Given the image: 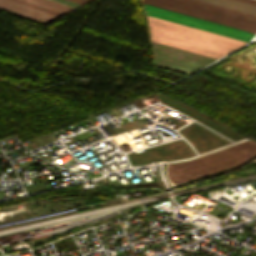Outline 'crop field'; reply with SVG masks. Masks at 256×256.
I'll list each match as a JSON object with an SVG mask.
<instances>
[{
    "label": "crop field",
    "mask_w": 256,
    "mask_h": 256,
    "mask_svg": "<svg viewBox=\"0 0 256 256\" xmlns=\"http://www.w3.org/2000/svg\"><path fill=\"white\" fill-rule=\"evenodd\" d=\"M147 19L151 40L216 58L246 43L151 16Z\"/></svg>",
    "instance_id": "obj_1"
},
{
    "label": "crop field",
    "mask_w": 256,
    "mask_h": 256,
    "mask_svg": "<svg viewBox=\"0 0 256 256\" xmlns=\"http://www.w3.org/2000/svg\"><path fill=\"white\" fill-rule=\"evenodd\" d=\"M254 159L256 143L247 140L191 160L171 163L167 174L171 182L180 183Z\"/></svg>",
    "instance_id": "obj_2"
},
{
    "label": "crop field",
    "mask_w": 256,
    "mask_h": 256,
    "mask_svg": "<svg viewBox=\"0 0 256 256\" xmlns=\"http://www.w3.org/2000/svg\"><path fill=\"white\" fill-rule=\"evenodd\" d=\"M143 3L256 33V15L200 0H141Z\"/></svg>",
    "instance_id": "obj_3"
},
{
    "label": "crop field",
    "mask_w": 256,
    "mask_h": 256,
    "mask_svg": "<svg viewBox=\"0 0 256 256\" xmlns=\"http://www.w3.org/2000/svg\"><path fill=\"white\" fill-rule=\"evenodd\" d=\"M154 65L184 74H191L216 60V58L153 42Z\"/></svg>",
    "instance_id": "obj_4"
},
{
    "label": "crop field",
    "mask_w": 256,
    "mask_h": 256,
    "mask_svg": "<svg viewBox=\"0 0 256 256\" xmlns=\"http://www.w3.org/2000/svg\"><path fill=\"white\" fill-rule=\"evenodd\" d=\"M143 4V3H142ZM144 12L147 15L155 16L158 18L166 19L176 23L184 24L187 26L195 27L198 29L206 30L209 32L217 33L227 37L235 38L238 40L248 42L254 33L246 32L243 30L235 29L232 27L224 26L221 24L213 23L210 21L198 19L195 17L187 16L184 14L176 13L173 11L165 10L162 8L154 7L151 5L143 4Z\"/></svg>",
    "instance_id": "obj_5"
},
{
    "label": "crop field",
    "mask_w": 256,
    "mask_h": 256,
    "mask_svg": "<svg viewBox=\"0 0 256 256\" xmlns=\"http://www.w3.org/2000/svg\"><path fill=\"white\" fill-rule=\"evenodd\" d=\"M0 8L43 23H47L58 17L10 0H0Z\"/></svg>",
    "instance_id": "obj_6"
},
{
    "label": "crop field",
    "mask_w": 256,
    "mask_h": 256,
    "mask_svg": "<svg viewBox=\"0 0 256 256\" xmlns=\"http://www.w3.org/2000/svg\"><path fill=\"white\" fill-rule=\"evenodd\" d=\"M204 1L256 14V6L246 4L243 2H239L235 0H204Z\"/></svg>",
    "instance_id": "obj_7"
},
{
    "label": "crop field",
    "mask_w": 256,
    "mask_h": 256,
    "mask_svg": "<svg viewBox=\"0 0 256 256\" xmlns=\"http://www.w3.org/2000/svg\"><path fill=\"white\" fill-rule=\"evenodd\" d=\"M25 1L34 3L36 5H39V6L63 13V14H65L73 9V8H70V7L49 1V0H25Z\"/></svg>",
    "instance_id": "obj_8"
},
{
    "label": "crop field",
    "mask_w": 256,
    "mask_h": 256,
    "mask_svg": "<svg viewBox=\"0 0 256 256\" xmlns=\"http://www.w3.org/2000/svg\"><path fill=\"white\" fill-rule=\"evenodd\" d=\"M13 1H16V2H19V3L25 4V5L31 6V7H34V8L43 10V11H46V12H49V13H52V14H55V15H58V16L63 15V14H60V13H57V12H54V11H51V10H48V9L36 6V5H33L31 3H28V2H25V1H22V0H13Z\"/></svg>",
    "instance_id": "obj_9"
},
{
    "label": "crop field",
    "mask_w": 256,
    "mask_h": 256,
    "mask_svg": "<svg viewBox=\"0 0 256 256\" xmlns=\"http://www.w3.org/2000/svg\"><path fill=\"white\" fill-rule=\"evenodd\" d=\"M52 1L61 3V4H64V5L73 7V8H76V7L81 5V4H78V3H75V2H72V1H69V0H52Z\"/></svg>",
    "instance_id": "obj_10"
},
{
    "label": "crop field",
    "mask_w": 256,
    "mask_h": 256,
    "mask_svg": "<svg viewBox=\"0 0 256 256\" xmlns=\"http://www.w3.org/2000/svg\"><path fill=\"white\" fill-rule=\"evenodd\" d=\"M72 1H75V2H78V3H81V4L86 2V1H83V0H72Z\"/></svg>",
    "instance_id": "obj_11"
},
{
    "label": "crop field",
    "mask_w": 256,
    "mask_h": 256,
    "mask_svg": "<svg viewBox=\"0 0 256 256\" xmlns=\"http://www.w3.org/2000/svg\"><path fill=\"white\" fill-rule=\"evenodd\" d=\"M240 1H243V2H247V3H251V4H255V5H256V3H252V2H249V1H245V0H240Z\"/></svg>",
    "instance_id": "obj_12"
},
{
    "label": "crop field",
    "mask_w": 256,
    "mask_h": 256,
    "mask_svg": "<svg viewBox=\"0 0 256 256\" xmlns=\"http://www.w3.org/2000/svg\"><path fill=\"white\" fill-rule=\"evenodd\" d=\"M249 1L256 2V0H249Z\"/></svg>",
    "instance_id": "obj_13"
},
{
    "label": "crop field",
    "mask_w": 256,
    "mask_h": 256,
    "mask_svg": "<svg viewBox=\"0 0 256 256\" xmlns=\"http://www.w3.org/2000/svg\"><path fill=\"white\" fill-rule=\"evenodd\" d=\"M86 1H89V0H86Z\"/></svg>",
    "instance_id": "obj_14"
}]
</instances>
